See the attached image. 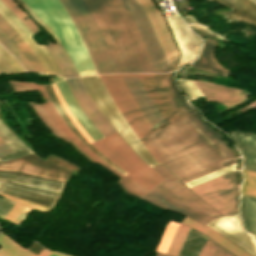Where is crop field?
I'll list each match as a JSON object with an SVG mask.
<instances>
[{"instance_id":"2","label":"crop field","mask_w":256,"mask_h":256,"mask_svg":"<svg viewBox=\"0 0 256 256\" xmlns=\"http://www.w3.org/2000/svg\"><path fill=\"white\" fill-rule=\"evenodd\" d=\"M100 77L123 118L158 163H161L144 135L194 112L175 89L171 73Z\"/></svg>"},{"instance_id":"4","label":"crop field","mask_w":256,"mask_h":256,"mask_svg":"<svg viewBox=\"0 0 256 256\" xmlns=\"http://www.w3.org/2000/svg\"><path fill=\"white\" fill-rule=\"evenodd\" d=\"M35 85V84H34ZM40 92L42 98L47 103L41 105L45 112L60 128V130L85 154L93 159L99 165L107 168L116 175L121 177V180L117 181L123 190L129 194L142 198L158 184H160L164 178L158 175L148 165H146L135 152L127 145V143L118 135V133L112 134L106 138L98 140L92 143L100 152L108 157L112 162L126 171L128 174L125 176L112 169L102 159L95 155L90 149H88L66 126L63 120L58 115L57 111L53 107L49 100L43 86L35 85Z\"/></svg>"},{"instance_id":"35","label":"crop field","mask_w":256,"mask_h":256,"mask_svg":"<svg viewBox=\"0 0 256 256\" xmlns=\"http://www.w3.org/2000/svg\"><path fill=\"white\" fill-rule=\"evenodd\" d=\"M21 21L22 23L34 34L39 29L32 23L26 14L18 7L13 0H1Z\"/></svg>"},{"instance_id":"6","label":"crop field","mask_w":256,"mask_h":256,"mask_svg":"<svg viewBox=\"0 0 256 256\" xmlns=\"http://www.w3.org/2000/svg\"><path fill=\"white\" fill-rule=\"evenodd\" d=\"M166 180L143 199L163 208L178 212L204 225L220 216L208 204L197 198L164 164L154 166Z\"/></svg>"},{"instance_id":"9","label":"crop field","mask_w":256,"mask_h":256,"mask_svg":"<svg viewBox=\"0 0 256 256\" xmlns=\"http://www.w3.org/2000/svg\"><path fill=\"white\" fill-rule=\"evenodd\" d=\"M234 172L190 187V190L221 215L236 213L237 185Z\"/></svg>"},{"instance_id":"5","label":"crop field","mask_w":256,"mask_h":256,"mask_svg":"<svg viewBox=\"0 0 256 256\" xmlns=\"http://www.w3.org/2000/svg\"><path fill=\"white\" fill-rule=\"evenodd\" d=\"M57 37L80 76L98 74L74 25L58 0H23Z\"/></svg>"},{"instance_id":"22","label":"crop field","mask_w":256,"mask_h":256,"mask_svg":"<svg viewBox=\"0 0 256 256\" xmlns=\"http://www.w3.org/2000/svg\"><path fill=\"white\" fill-rule=\"evenodd\" d=\"M240 216L244 223V230L256 235V198L241 196Z\"/></svg>"},{"instance_id":"47","label":"crop field","mask_w":256,"mask_h":256,"mask_svg":"<svg viewBox=\"0 0 256 256\" xmlns=\"http://www.w3.org/2000/svg\"><path fill=\"white\" fill-rule=\"evenodd\" d=\"M11 149L7 146V144L4 142L0 144V155L11 153Z\"/></svg>"},{"instance_id":"50","label":"crop field","mask_w":256,"mask_h":256,"mask_svg":"<svg viewBox=\"0 0 256 256\" xmlns=\"http://www.w3.org/2000/svg\"><path fill=\"white\" fill-rule=\"evenodd\" d=\"M252 237L254 238V240H255V242H256V236H253V235H252Z\"/></svg>"},{"instance_id":"26","label":"crop field","mask_w":256,"mask_h":256,"mask_svg":"<svg viewBox=\"0 0 256 256\" xmlns=\"http://www.w3.org/2000/svg\"><path fill=\"white\" fill-rule=\"evenodd\" d=\"M0 244L3 246L0 250V256H36L23 247L15 244L3 233L0 234ZM50 253L51 251H47L43 248L38 256H48Z\"/></svg>"},{"instance_id":"14","label":"crop field","mask_w":256,"mask_h":256,"mask_svg":"<svg viewBox=\"0 0 256 256\" xmlns=\"http://www.w3.org/2000/svg\"><path fill=\"white\" fill-rule=\"evenodd\" d=\"M166 18L182 53L181 58L175 68L177 69L197 56L201 47V42L200 39L188 29L177 14L167 16Z\"/></svg>"},{"instance_id":"25","label":"crop field","mask_w":256,"mask_h":256,"mask_svg":"<svg viewBox=\"0 0 256 256\" xmlns=\"http://www.w3.org/2000/svg\"><path fill=\"white\" fill-rule=\"evenodd\" d=\"M46 48L54 58L59 68L61 69L64 77L78 76L70 58L68 57L67 53L64 51L60 44L53 45L49 43V47Z\"/></svg>"},{"instance_id":"32","label":"crop field","mask_w":256,"mask_h":256,"mask_svg":"<svg viewBox=\"0 0 256 256\" xmlns=\"http://www.w3.org/2000/svg\"><path fill=\"white\" fill-rule=\"evenodd\" d=\"M0 43L4 46V48L12 53L15 58L19 61V63L26 69V71H33L28 61L21 54V52L16 48V46L1 32L0 30Z\"/></svg>"},{"instance_id":"20","label":"crop field","mask_w":256,"mask_h":256,"mask_svg":"<svg viewBox=\"0 0 256 256\" xmlns=\"http://www.w3.org/2000/svg\"><path fill=\"white\" fill-rule=\"evenodd\" d=\"M0 29L11 39V41L22 52V54L26 57V59L29 61V63L35 70V72L45 73L44 69L42 68L36 56L30 50V48L1 16Z\"/></svg>"},{"instance_id":"16","label":"crop field","mask_w":256,"mask_h":256,"mask_svg":"<svg viewBox=\"0 0 256 256\" xmlns=\"http://www.w3.org/2000/svg\"><path fill=\"white\" fill-rule=\"evenodd\" d=\"M57 89L68 107L71 114L80 124V126L88 133V135L95 141L103 136L95 129V127L91 124V122L87 119L84 113L81 111L79 105L76 103L70 89L68 88L65 80L60 77L53 78Z\"/></svg>"},{"instance_id":"31","label":"crop field","mask_w":256,"mask_h":256,"mask_svg":"<svg viewBox=\"0 0 256 256\" xmlns=\"http://www.w3.org/2000/svg\"><path fill=\"white\" fill-rule=\"evenodd\" d=\"M31 108L34 110L38 118L44 122L47 127L53 132V134L57 137L62 139L64 142L70 141L59 129L58 127L51 121L48 115L44 112L40 105H34L29 103Z\"/></svg>"},{"instance_id":"1","label":"crop field","mask_w":256,"mask_h":256,"mask_svg":"<svg viewBox=\"0 0 256 256\" xmlns=\"http://www.w3.org/2000/svg\"><path fill=\"white\" fill-rule=\"evenodd\" d=\"M101 73L168 72L152 28L135 0H60Z\"/></svg>"},{"instance_id":"15","label":"crop field","mask_w":256,"mask_h":256,"mask_svg":"<svg viewBox=\"0 0 256 256\" xmlns=\"http://www.w3.org/2000/svg\"><path fill=\"white\" fill-rule=\"evenodd\" d=\"M207 226L235 242L253 256H256V244L251 235H248L241 230L237 214L218 217Z\"/></svg>"},{"instance_id":"7","label":"crop field","mask_w":256,"mask_h":256,"mask_svg":"<svg viewBox=\"0 0 256 256\" xmlns=\"http://www.w3.org/2000/svg\"><path fill=\"white\" fill-rule=\"evenodd\" d=\"M87 90L91 94L99 108L113 124L116 130L130 144V146L139 154V156L149 165H157V161L137 138L134 132L124 121L117 108L113 104L107 90L105 89L99 75L81 78Z\"/></svg>"},{"instance_id":"53","label":"crop field","mask_w":256,"mask_h":256,"mask_svg":"<svg viewBox=\"0 0 256 256\" xmlns=\"http://www.w3.org/2000/svg\"><path fill=\"white\" fill-rule=\"evenodd\" d=\"M256 2V0H254Z\"/></svg>"},{"instance_id":"37","label":"crop field","mask_w":256,"mask_h":256,"mask_svg":"<svg viewBox=\"0 0 256 256\" xmlns=\"http://www.w3.org/2000/svg\"><path fill=\"white\" fill-rule=\"evenodd\" d=\"M188 230H189V227L183 224L179 225L175 233V236L166 253L177 256L180 246L182 244V241L185 235L187 234Z\"/></svg>"},{"instance_id":"38","label":"crop field","mask_w":256,"mask_h":256,"mask_svg":"<svg viewBox=\"0 0 256 256\" xmlns=\"http://www.w3.org/2000/svg\"><path fill=\"white\" fill-rule=\"evenodd\" d=\"M199 256H234L208 238Z\"/></svg>"},{"instance_id":"18","label":"crop field","mask_w":256,"mask_h":256,"mask_svg":"<svg viewBox=\"0 0 256 256\" xmlns=\"http://www.w3.org/2000/svg\"><path fill=\"white\" fill-rule=\"evenodd\" d=\"M223 3L232 9L226 15L227 18L239 21L240 19L256 26V4L251 0H210Z\"/></svg>"},{"instance_id":"19","label":"crop field","mask_w":256,"mask_h":256,"mask_svg":"<svg viewBox=\"0 0 256 256\" xmlns=\"http://www.w3.org/2000/svg\"><path fill=\"white\" fill-rule=\"evenodd\" d=\"M242 154L243 168L256 170V136L246 133H230Z\"/></svg>"},{"instance_id":"17","label":"crop field","mask_w":256,"mask_h":256,"mask_svg":"<svg viewBox=\"0 0 256 256\" xmlns=\"http://www.w3.org/2000/svg\"><path fill=\"white\" fill-rule=\"evenodd\" d=\"M206 98V101H218L228 107L245 99L250 94L236 88H227L223 85L195 81Z\"/></svg>"},{"instance_id":"43","label":"crop field","mask_w":256,"mask_h":256,"mask_svg":"<svg viewBox=\"0 0 256 256\" xmlns=\"http://www.w3.org/2000/svg\"><path fill=\"white\" fill-rule=\"evenodd\" d=\"M16 202L0 198V217L5 218Z\"/></svg>"},{"instance_id":"48","label":"crop field","mask_w":256,"mask_h":256,"mask_svg":"<svg viewBox=\"0 0 256 256\" xmlns=\"http://www.w3.org/2000/svg\"><path fill=\"white\" fill-rule=\"evenodd\" d=\"M50 256H64V255H60V254H57V253H55V252H52V253L50 254Z\"/></svg>"},{"instance_id":"42","label":"crop field","mask_w":256,"mask_h":256,"mask_svg":"<svg viewBox=\"0 0 256 256\" xmlns=\"http://www.w3.org/2000/svg\"><path fill=\"white\" fill-rule=\"evenodd\" d=\"M55 92H56V86L55 84L52 85ZM62 106L64 107L65 111L67 112V114L69 115V117L71 118L72 122L74 123V125L77 127V129L82 133V135L91 143L93 142V140L86 134V132L77 124V122L75 121V119L72 117V115L70 114V112L68 111V109L66 108L65 104L63 103L58 91L56 92Z\"/></svg>"},{"instance_id":"39","label":"crop field","mask_w":256,"mask_h":256,"mask_svg":"<svg viewBox=\"0 0 256 256\" xmlns=\"http://www.w3.org/2000/svg\"><path fill=\"white\" fill-rule=\"evenodd\" d=\"M233 170H235V163L232 164V165L226 166V167H224V168H221V169H219V170H217V171H215V172H213V173H210V174H208V175H205V176H203V177H200V178H198V179H196V180H193V181H191V182H188V183H186V185H187L188 187H190V186H193V185L202 183V182H204V181H207V180H209V179H212V178H214V177H217V176H219V175H222V174H224V173H226V172L233 171Z\"/></svg>"},{"instance_id":"28","label":"crop field","mask_w":256,"mask_h":256,"mask_svg":"<svg viewBox=\"0 0 256 256\" xmlns=\"http://www.w3.org/2000/svg\"><path fill=\"white\" fill-rule=\"evenodd\" d=\"M0 15L14 28V30L21 36V38L28 44V46L31 48V50L34 52V54L39 59L40 63L44 67L47 74H54L49 65L46 63L44 57L39 52V50L36 48V46L32 43V41L18 28V26L13 22V20L6 15L1 9H0Z\"/></svg>"},{"instance_id":"23","label":"crop field","mask_w":256,"mask_h":256,"mask_svg":"<svg viewBox=\"0 0 256 256\" xmlns=\"http://www.w3.org/2000/svg\"><path fill=\"white\" fill-rule=\"evenodd\" d=\"M182 223L201 231L203 234H205L206 236H208L209 238H211L212 240H214L215 242H217L218 244H220L221 246H223L224 248H226L228 251H230L236 256H250L245 252L241 251L240 248H238L237 246H235L234 244H232L231 242L226 240L224 237H222L221 235H219L218 233H216L215 231H213L208 227H205L186 217L182 220Z\"/></svg>"},{"instance_id":"52","label":"crop field","mask_w":256,"mask_h":256,"mask_svg":"<svg viewBox=\"0 0 256 256\" xmlns=\"http://www.w3.org/2000/svg\"><path fill=\"white\" fill-rule=\"evenodd\" d=\"M2 184V182L0 181V185Z\"/></svg>"},{"instance_id":"21","label":"crop field","mask_w":256,"mask_h":256,"mask_svg":"<svg viewBox=\"0 0 256 256\" xmlns=\"http://www.w3.org/2000/svg\"><path fill=\"white\" fill-rule=\"evenodd\" d=\"M49 98L51 99L53 105L56 107L57 111L60 113L63 120L66 122L68 127L73 131V133L78 136L82 142L89 147L95 154H97L100 158H102L105 162H107L109 165H111L113 168L121 172L122 174H126L123 170H121L119 167H117L114 163H112L109 159H107L103 154H101L99 151H97L94 147L90 145V143L81 135V133L76 129V127L71 122L70 118L64 111L63 107L61 106L53 88L51 85L44 86Z\"/></svg>"},{"instance_id":"41","label":"crop field","mask_w":256,"mask_h":256,"mask_svg":"<svg viewBox=\"0 0 256 256\" xmlns=\"http://www.w3.org/2000/svg\"><path fill=\"white\" fill-rule=\"evenodd\" d=\"M8 82H9V84L11 85V87L13 88V90L15 92L34 91V90H36L31 82L30 83H26V82H11V81H8Z\"/></svg>"},{"instance_id":"27","label":"crop field","mask_w":256,"mask_h":256,"mask_svg":"<svg viewBox=\"0 0 256 256\" xmlns=\"http://www.w3.org/2000/svg\"><path fill=\"white\" fill-rule=\"evenodd\" d=\"M0 8L7 13L14 22L19 26V28L29 37L33 35L22 23L21 21L0 1ZM35 44V43H34ZM36 45V44H35ZM37 46V45H36ZM37 48L40 50V52L43 54L45 59L47 60L48 64L52 68V70L55 72L56 75L63 77L62 73L60 72L59 68L57 67L56 63L52 59L51 55L45 48V46H37Z\"/></svg>"},{"instance_id":"45","label":"crop field","mask_w":256,"mask_h":256,"mask_svg":"<svg viewBox=\"0 0 256 256\" xmlns=\"http://www.w3.org/2000/svg\"><path fill=\"white\" fill-rule=\"evenodd\" d=\"M19 3H21L26 10L55 38L56 42L58 43L56 37L51 33V31L39 20V18L24 4L22 0H17ZM24 8V9H25Z\"/></svg>"},{"instance_id":"49","label":"crop field","mask_w":256,"mask_h":256,"mask_svg":"<svg viewBox=\"0 0 256 256\" xmlns=\"http://www.w3.org/2000/svg\"><path fill=\"white\" fill-rule=\"evenodd\" d=\"M156 256H171V255H167V254H163V253L158 252Z\"/></svg>"},{"instance_id":"40","label":"crop field","mask_w":256,"mask_h":256,"mask_svg":"<svg viewBox=\"0 0 256 256\" xmlns=\"http://www.w3.org/2000/svg\"><path fill=\"white\" fill-rule=\"evenodd\" d=\"M185 20L189 23V25L199 34H201L204 38L205 37H215V38H221L209 29L201 26L191 15L185 17Z\"/></svg>"},{"instance_id":"24","label":"crop field","mask_w":256,"mask_h":256,"mask_svg":"<svg viewBox=\"0 0 256 256\" xmlns=\"http://www.w3.org/2000/svg\"><path fill=\"white\" fill-rule=\"evenodd\" d=\"M208 237L190 228L178 256H198Z\"/></svg>"},{"instance_id":"10","label":"crop field","mask_w":256,"mask_h":256,"mask_svg":"<svg viewBox=\"0 0 256 256\" xmlns=\"http://www.w3.org/2000/svg\"><path fill=\"white\" fill-rule=\"evenodd\" d=\"M0 169L27 173L64 182L67 181L71 174L70 172L55 165L42 161L41 159L37 158L34 153L1 163Z\"/></svg>"},{"instance_id":"11","label":"crop field","mask_w":256,"mask_h":256,"mask_svg":"<svg viewBox=\"0 0 256 256\" xmlns=\"http://www.w3.org/2000/svg\"><path fill=\"white\" fill-rule=\"evenodd\" d=\"M136 1L142 6L143 10L145 11L171 69L179 57V52L169 34L164 18L155 8L152 0Z\"/></svg>"},{"instance_id":"36","label":"crop field","mask_w":256,"mask_h":256,"mask_svg":"<svg viewBox=\"0 0 256 256\" xmlns=\"http://www.w3.org/2000/svg\"><path fill=\"white\" fill-rule=\"evenodd\" d=\"M178 224L179 223H177V222H173L170 220L168 221L156 251H160V252H164V253L166 252V250L171 242V239L178 227Z\"/></svg>"},{"instance_id":"12","label":"crop field","mask_w":256,"mask_h":256,"mask_svg":"<svg viewBox=\"0 0 256 256\" xmlns=\"http://www.w3.org/2000/svg\"><path fill=\"white\" fill-rule=\"evenodd\" d=\"M66 80L76 100L86 115L89 117V119L92 121V123L95 125V127L104 136L116 132L115 128L99 110L90 94L86 90L85 86L81 82L80 78Z\"/></svg>"},{"instance_id":"34","label":"crop field","mask_w":256,"mask_h":256,"mask_svg":"<svg viewBox=\"0 0 256 256\" xmlns=\"http://www.w3.org/2000/svg\"><path fill=\"white\" fill-rule=\"evenodd\" d=\"M244 183L241 186V195L256 197V172L242 169Z\"/></svg>"},{"instance_id":"8","label":"crop field","mask_w":256,"mask_h":256,"mask_svg":"<svg viewBox=\"0 0 256 256\" xmlns=\"http://www.w3.org/2000/svg\"><path fill=\"white\" fill-rule=\"evenodd\" d=\"M0 173L14 175V176H20V177H25V178H30V179H34V180H39V181H43V182L61 185V186H57V185L27 180V179H23V178L0 175V179H2V180H7V181L23 184L26 186L59 193V194H56V193L41 191V190L17 185V184L7 182V181H5V183L2 185V187L0 189V192L12 195L14 197H17V198H20V199H23L26 201L44 205L51 209H53L56 201L58 200V198L64 188V184H65L63 182L43 179V178H39V177H35V176L10 173V172H2V171H0Z\"/></svg>"},{"instance_id":"13","label":"crop field","mask_w":256,"mask_h":256,"mask_svg":"<svg viewBox=\"0 0 256 256\" xmlns=\"http://www.w3.org/2000/svg\"><path fill=\"white\" fill-rule=\"evenodd\" d=\"M216 40H206L205 50L202 57L191 67L216 73L222 77H228L230 71L223 69L213 56V48ZM178 86L191 101L203 97L193 80L178 79Z\"/></svg>"},{"instance_id":"30","label":"crop field","mask_w":256,"mask_h":256,"mask_svg":"<svg viewBox=\"0 0 256 256\" xmlns=\"http://www.w3.org/2000/svg\"><path fill=\"white\" fill-rule=\"evenodd\" d=\"M0 194L4 197L10 199V200H13V201L17 202L5 218V220H7L11 223H13V221L15 220V218L17 217L18 213L20 212V210L23 208L24 205H26V206H28L32 209L42 211V212H48V211L51 210L47 207L40 206V205H37V204H33V203H30V202H26V201L11 197V196L3 194V193H0Z\"/></svg>"},{"instance_id":"3","label":"crop field","mask_w":256,"mask_h":256,"mask_svg":"<svg viewBox=\"0 0 256 256\" xmlns=\"http://www.w3.org/2000/svg\"><path fill=\"white\" fill-rule=\"evenodd\" d=\"M185 117L225 159L233 157L220 133L214 132L200 120L197 113H193L146 135L173 174L186 183L235 162L234 159L219 163L224 160L223 157Z\"/></svg>"},{"instance_id":"51","label":"crop field","mask_w":256,"mask_h":256,"mask_svg":"<svg viewBox=\"0 0 256 256\" xmlns=\"http://www.w3.org/2000/svg\"><path fill=\"white\" fill-rule=\"evenodd\" d=\"M3 142V140L0 138V143Z\"/></svg>"},{"instance_id":"33","label":"crop field","mask_w":256,"mask_h":256,"mask_svg":"<svg viewBox=\"0 0 256 256\" xmlns=\"http://www.w3.org/2000/svg\"><path fill=\"white\" fill-rule=\"evenodd\" d=\"M0 137L11 147L13 152L27 149V147L0 121Z\"/></svg>"},{"instance_id":"29","label":"crop field","mask_w":256,"mask_h":256,"mask_svg":"<svg viewBox=\"0 0 256 256\" xmlns=\"http://www.w3.org/2000/svg\"><path fill=\"white\" fill-rule=\"evenodd\" d=\"M2 72L9 75L24 72V70L0 45V73Z\"/></svg>"},{"instance_id":"44","label":"crop field","mask_w":256,"mask_h":256,"mask_svg":"<svg viewBox=\"0 0 256 256\" xmlns=\"http://www.w3.org/2000/svg\"><path fill=\"white\" fill-rule=\"evenodd\" d=\"M28 153H31V151L29 149L20 151V152H16V153H12V154H8V155H4V156H0V161L17 158V157L23 156Z\"/></svg>"},{"instance_id":"46","label":"crop field","mask_w":256,"mask_h":256,"mask_svg":"<svg viewBox=\"0 0 256 256\" xmlns=\"http://www.w3.org/2000/svg\"><path fill=\"white\" fill-rule=\"evenodd\" d=\"M30 208H27L24 206V208L22 209L21 213L19 214V216L16 218V220L14 221V224L16 225H20L21 221L23 220V218L26 216V214L29 212Z\"/></svg>"}]
</instances>
